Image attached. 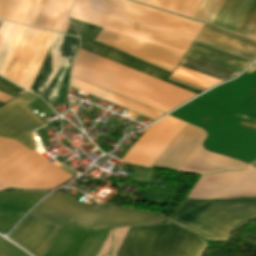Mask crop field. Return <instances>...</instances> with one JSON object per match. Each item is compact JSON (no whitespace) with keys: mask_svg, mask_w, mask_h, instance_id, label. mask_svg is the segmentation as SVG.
I'll list each match as a JSON object with an SVG mask.
<instances>
[{"mask_svg":"<svg viewBox=\"0 0 256 256\" xmlns=\"http://www.w3.org/2000/svg\"><path fill=\"white\" fill-rule=\"evenodd\" d=\"M254 164H256V162Z\"/></svg>","mask_w":256,"mask_h":256,"instance_id":"28","label":"crop field"},{"mask_svg":"<svg viewBox=\"0 0 256 256\" xmlns=\"http://www.w3.org/2000/svg\"><path fill=\"white\" fill-rule=\"evenodd\" d=\"M186 56L239 73L250 61L193 42Z\"/></svg>","mask_w":256,"mask_h":256,"instance_id":"16","label":"crop field"},{"mask_svg":"<svg viewBox=\"0 0 256 256\" xmlns=\"http://www.w3.org/2000/svg\"><path fill=\"white\" fill-rule=\"evenodd\" d=\"M205 27H207V28H204V30H207V31H210V32H213V33H216V34H219V35L234 39L236 41L256 47V42H254L252 40H249L244 37H241V36L226 32V31H222V30H219V29L207 26V25H205Z\"/></svg>","mask_w":256,"mask_h":256,"instance_id":"24","label":"crop field"},{"mask_svg":"<svg viewBox=\"0 0 256 256\" xmlns=\"http://www.w3.org/2000/svg\"><path fill=\"white\" fill-rule=\"evenodd\" d=\"M236 33L256 39V0H252Z\"/></svg>","mask_w":256,"mask_h":256,"instance_id":"22","label":"crop field"},{"mask_svg":"<svg viewBox=\"0 0 256 256\" xmlns=\"http://www.w3.org/2000/svg\"><path fill=\"white\" fill-rule=\"evenodd\" d=\"M169 80H172V81H175V82H179V83H182V84H185V85H188V86H191L195 89H198V90H202V91H205L206 89H203V88H200V87H197V86H194V85H191V84H188L186 82H183V81H180V80H177V79H174V78H171L169 77Z\"/></svg>","mask_w":256,"mask_h":256,"instance_id":"26","label":"crop field"},{"mask_svg":"<svg viewBox=\"0 0 256 256\" xmlns=\"http://www.w3.org/2000/svg\"><path fill=\"white\" fill-rule=\"evenodd\" d=\"M195 42L252 61L256 58V48L202 30Z\"/></svg>","mask_w":256,"mask_h":256,"instance_id":"17","label":"crop field"},{"mask_svg":"<svg viewBox=\"0 0 256 256\" xmlns=\"http://www.w3.org/2000/svg\"><path fill=\"white\" fill-rule=\"evenodd\" d=\"M108 30V29H107ZM102 29L96 41L111 45L145 62L171 71L179 62L183 53L143 42L121 34Z\"/></svg>","mask_w":256,"mask_h":256,"instance_id":"11","label":"crop field"},{"mask_svg":"<svg viewBox=\"0 0 256 256\" xmlns=\"http://www.w3.org/2000/svg\"><path fill=\"white\" fill-rule=\"evenodd\" d=\"M198 1L199 0H152L150 6L190 17ZM203 1L204 0L199 1L191 18L194 19ZM223 2L224 0H205L195 19L212 24Z\"/></svg>","mask_w":256,"mask_h":256,"instance_id":"15","label":"crop field"},{"mask_svg":"<svg viewBox=\"0 0 256 256\" xmlns=\"http://www.w3.org/2000/svg\"><path fill=\"white\" fill-rule=\"evenodd\" d=\"M171 77L189 82L191 84H194L206 89H209L215 86L216 84L222 82L179 66H177V68L174 70Z\"/></svg>","mask_w":256,"mask_h":256,"instance_id":"21","label":"crop field"},{"mask_svg":"<svg viewBox=\"0 0 256 256\" xmlns=\"http://www.w3.org/2000/svg\"><path fill=\"white\" fill-rule=\"evenodd\" d=\"M0 96L6 97V98H8V99H11V98H12V97H10V96H8V95H6V94H4V93H1V92H0Z\"/></svg>","mask_w":256,"mask_h":256,"instance_id":"27","label":"crop field"},{"mask_svg":"<svg viewBox=\"0 0 256 256\" xmlns=\"http://www.w3.org/2000/svg\"><path fill=\"white\" fill-rule=\"evenodd\" d=\"M62 34H56L52 45L47 53V56L42 64L45 76V79H49L55 76H59L62 74H65L67 72V74L59 76V77H55L49 80H45L42 79L44 73L42 70V67L30 89V92H32L33 94L41 97L43 100H45L51 107L54 104L60 90L61 87L68 75V70H69V66L70 63L72 61L73 55L75 53V50L78 46V41L77 38L74 37H69V36H64ZM63 38V40H62ZM62 40V42H61ZM61 42V44H60ZM60 44V46H59ZM59 46V48H58ZM58 48V51L56 53V50ZM56 53V55H55ZM55 55V57H54ZM54 57V59H53ZM53 59V61H52ZM52 61V63H51ZM51 63V65H50ZM56 67V68H60V69H64L66 70H59V69H55V68H51L49 67Z\"/></svg>","mask_w":256,"mask_h":256,"instance_id":"8","label":"crop field"},{"mask_svg":"<svg viewBox=\"0 0 256 256\" xmlns=\"http://www.w3.org/2000/svg\"><path fill=\"white\" fill-rule=\"evenodd\" d=\"M32 212L88 230L166 221L154 214L101 204L87 208L59 191L36 206Z\"/></svg>","mask_w":256,"mask_h":256,"instance_id":"5","label":"crop field"},{"mask_svg":"<svg viewBox=\"0 0 256 256\" xmlns=\"http://www.w3.org/2000/svg\"><path fill=\"white\" fill-rule=\"evenodd\" d=\"M48 192H10L0 194V206L27 211Z\"/></svg>","mask_w":256,"mask_h":256,"instance_id":"19","label":"crop field"},{"mask_svg":"<svg viewBox=\"0 0 256 256\" xmlns=\"http://www.w3.org/2000/svg\"><path fill=\"white\" fill-rule=\"evenodd\" d=\"M206 133L187 124L151 167L178 170L205 138Z\"/></svg>","mask_w":256,"mask_h":256,"instance_id":"14","label":"crop field"},{"mask_svg":"<svg viewBox=\"0 0 256 256\" xmlns=\"http://www.w3.org/2000/svg\"><path fill=\"white\" fill-rule=\"evenodd\" d=\"M62 227L63 224L29 214L12 231L9 238L33 256H44Z\"/></svg>","mask_w":256,"mask_h":256,"instance_id":"12","label":"crop field"},{"mask_svg":"<svg viewBox=\"0 0 256 256\" xmlns=\"http://www.w3.org/2000/svg\"><path fill=\"white\" fill-rule=\"evenodd\" d=\"M185 125L170 116L158 121L137 140L122 161L150 167Z\"/></svg>","mask_w":256,"mask_h":256,"instance_id":"10","label":"crop field"},{"mask_svg":"<svg viewBox=\"0 0 256 256\" xmlns=\"http://www.w3.org/2000/svg\"><path fill=\"white\" fill-rule=\"evenodd\" d=\"M109 256V255H108Z\"/></svg>","mask_w":256,"mask_h":256,"instance_id":"29","label":"crop field"},{"mask_svg":"<svg viewBox=\"0 0 256 256\" xmlns=\"http://www.w3.org/2000/svg\"><path fill=\"white\" fill-rule=\"evenodd\" d=\"M36 98L24 94L0 110V137L15 140L34 150L31 131L45 124L24 105ZM0 138V166L22 145ZM21 147L0 167V190L53 189L62 185L71 175L61 170L35 151Z\"/></svg>","mask_w":256,"mask_h":256,"instance_id":"1","label":"crop field"},{"mask_svg":"<svg viewBox=\"0 0 256 256\" xmlns=\"http://www.w3.org/2000/svg\"><path fill=\"white\" fill-rule=\"evenodd\" d=\"M0 91L6 93L8 95H11L13 97L20 94L19 92H21L20 90H18L17 88L13 87L10 84H8L7 82H5L2 79H0Z\"/></svg>","mask_w":256,"mask_h":256,"instance_id":"25","label":"crop field"},{"mask_svg":"<svg viewBox=\"0 0 256 256\" xmlns=\"http://www.w3.org/2000/svg\"><path fill=\"white\" fill-rule=\"evenodd\" d=\"M71 76L164 113L196 95L81 49Z\"/></svg>","mask_w":256,"mask_h":256,"instance_id":"2","label":"crop field"},{"mask_svg":"<svg viewBox=\"0 0 256 256\" xmlns=\"http://www.w3.org/2000/svg\"><path fill=\"white\" fill-rule=\"evenodd\" d=\"M255 218L256 198L188 201L173 216V219L219 240L228 239L237 227Z\"/></svg>","mask_w":256,"mask_h":256,"instance_id":"6","label":"crop field"},{"mask_svg":"<svg viewBox=\"0 0 256 256\" xmlns=\"http://www.w3.org/2000/svg\"><path fill=\"white\" fill-rule=\"evenodd\" d=\"M100 31H101V28L89 24L82 38L80 37L81 38L80 48L88 52L94 53L96 55H99L101 57H104L106 59L117 62L119 64H122L124 66L135 69L137 71H140L142 73H145L147 75L153 76L165 82L171 83L183 89L189 90L196 94H199L202 92V91L195 90L191 87L167 80L166 78L168 77L170 72H167L157 67H154L152 65H149L141 60L135 59L127 54H123L106 45L93 42Z\"/></svg>","mask_w":256,"mask_h":256,"instance_id":"13","label":"crop field"},{"mask_svg":"<svg viewBox=\"0 0 256 256\" xmlns=\"http://www.w3.org/2000/svg\"><path fill=\"white\" fill-rule=\"evenodd\" d=\"M245 195H256V168L251 166L241 172L203 176L188 197L217 199Z\"/></svg>","mask_w":256,"mask_h":256,"instance_id":"9","label":"crop field"},{"mask_svg":"<svg viewBox=\"0 0 256 256\" xmlns=\"http://www.w3.org/2000/svg\"><path fill=\"white\" fill-rule=\"evenodd\" d=\"M129 227L114 230L115 256ZM205 242L196 233L171 222L130 227L116 256H199Z\"/></svg>","mask_w":256,"mask_h":256,"instance_id":"3","label":"crop field"},{"mask_svg":"<svg viewBox=\"0 0 256 256\" xmlns=\"http://www.w3.org/2000/svg\"><path fill=\"white\" fill-rule=\"evenodd\" d=\"M251 0H225L213 25L235 32Z\"/></svg>","mask_w":256,"mask_h":256,"instance_id":"18","label":"crop field"},{"mask_svg":"<svg viewBox=\"0 0 256 256\" xmlns=\"http://www.w3.org/2000/svg\"><path fill=\"white\" fill-rule=\"evenodd\" d=\"M36 0H0V18L25 24ZM68 0H37L26 24L54 31ZM69 0L55 31L66 32Z\"/></svg>","mask_w":256,"mask_h":256,"instance_id":"7","label":"crop field"},{"mask_svg":"<svg viewBox=\"0 0 256 256\" xmlns=\"http://www.w3.org/2000/svg\"><path fill=\"white\" fill-rule=\"evenodd\" d=\"M25 212L0 208V232H8Z\"/></svg>","mask_w":256,"mask_h":256,"instance_id":"23","label":"crop field"},{"mask_svg":"<svg viewBox=\"0 0 256 256\" xmlns=\"http://www.w3.org/2000/svg\"><path fill=\"white\" fill-rule=\"evenodd\" d=\"M56 33L3 21L0 75L29 90Z\"/></svg>","mask_w":256,"mask_h":256,"instance_id":"4","label":"crop field"},{"mask_svg":"<svg viewBox=\"0 0 256 256\" xmlns=\"http://www.w3.org/2000/svg\"><path fill=\"white\" fill-rule=\"evenodd\" d=\"M179 66L225 81L237 75V73L184 56Z\"/></svg>","mask_w":256,"mask_h":256,"instance_id":"20","label":"crop field"}]
</instances>
